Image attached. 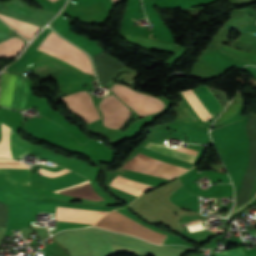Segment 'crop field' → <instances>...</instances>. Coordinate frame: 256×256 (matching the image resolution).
<instances>
[{
  "label": "crop field",
  "mask_w": 256,
  "mask_h": 256,
  "mask_svg": "<svg viewBox=\"0 0 256 256\" xmlns=\"http://www.w3.org/2000/svg\"><path fill=\"white\" fill-rule=\"evenodd\" d=\"M112 91L142 116L157 113L164 107V103L161 100L136 93L122 85H114Z\"/></svg>",
  "instance_id": "obj_4"
},
{
  "label": "crop field",
  "mask_w": 256,
  "mask_h": 256,
  "mask_svg": "<svg viewBox=\"0 0 256 256\" xmlns=\"http://www.w3.org/2000/svg\"><path fill=\"white\" fill-rule=\"evenodd\" d=\"M50 1H52V2H53V1H55V0H50Z\"/></svg>",
  "instance_id": "obj_16"
},
{
  "label": "crop field",
  "mask_w": 256,
  "mask_h": 256,
  "mask_svg": "<svg viewBox=\"0 0 256 256\" xmlns=\"http://www.w3.org/2000/svg\"><path fill=\"white\" fill-rule=\"evenodd\" d=\"M0 17L3 20H5L8 24H10L13 28H15L19 33L25 35L28 38H32L36 34V32L40 29L39 27L17 21L8 16L0 15Z\"/></svg>",
  "instance_id": "obj_12"
},
{
  "label": "crop field",
  "mask_w": 256,
  "mask_h": 256,
  "mask_svg": "<svg viewBox=\"0 0 256 256\" xmlns=\"http://www.w3.org/2000/svg\"><path fill=\"white\" fill-rule=\"evenodd\" d=\"M5 4L17 13L35 18V16L31 13V11L17 0H10Z\"/></svg>",
  "instance_id": "obj_13"
},
{
  "label": "crop field",
  "mask_w": 256,
  "mask_h": 256,
  "mask_svg": "<svg viewBox=\"0 0 256 256\" xmlns=\"http://www.w3.org/2000/svg\"><path fill=\"white\" fill-rule=\"evenodd\" d=\"M0 179L13 184L29 185L28 169H0Z\"/></svg>",
  "instance_id": "obj_9"
},
{
  "label": "crop field",
  "mask_w": 256,
  "mask_h": 256,
  "mask_svg": "<svg viewBox=\"0 0 256 256\" xmlns=\"http://www.w3.org/2000/svg\"><path fill=\"white\" fill-rule=\"evenodd\" d=\"M144 148L158 152V153H162V154H165V155H168L171 157H175V158H178V159H181L184 161H188L191 163H193L195 156L198 153L195 150H191V149H187V148H183V147L174 149L177 151L195 155V156H191L188 154L170 150L165 145L156 144V143H148ZM122 167L131 169V170H135V171H139V172H143V173H147V174H151V175L168 178V179H172V178L180 175L181 173H184V171H180V170H177L174 168H170V167L160 165V164H157L154 162H150V161H147L144 159H140L137 157L133 158L132 160H130L128 163H126Z\"/></svg>",
  "instance_id": "obj_2"
},
{
  "label": "crop field",
  "mask_w": 256,
  "mask_h": 256,
  "mask_svg": "<svg viewBox=\"0 0 256 256\" xmlns=\"http://www.w3.org/2000/svg\"><path fill=\"white\" fill-rule=\"evenodd\" d=\"M74 231L77 232L88 243L93 256L113 255L114 253L110 243L134 248L155 256H180L185 250L181 248L158 246L147 243L138 238L101 230L108 238L109 243L103 233L96 228L75 229Z\"/></svg>",
  "instance_id": "obj_1"
},
{
  "label": "crop field",
  "mask_w": 256,
  "mask_h": 256,
  "mask_svg": "<svg viewBox=\"0 0 256 256\" xmlns=\"http://www.w3.org/2000/svg\"><path fill=\"white\" fill-rule=\"evenodd\" d=\"M9 29L6 25H4L3 23L0 22V30L1 31H5L9 33Z\"/></svg>",
  "instance_id": "obj_15"
},
{
  "label": "crop field",
  "mask_w": 256,
  "mask_h": 256,
  "mask_svg": "<svg viewBox=\"0 0 256 256\" xmlns=\"http://www.w3.org/2000/svg\"><path fill=\"white\" fill-rule=\"evenodd\" d=\"M11 153L14 159L22 158L24 154L31 152L30 145L20 139L17 134L11 131L10 135Z\"/></svg>",
  "instance_id": "obj_10"
},
{
  "label": "crop field",
  "mask_w": 256,
  "mask_h": 256,
  "mask_svg": "<svg viewBox=\"0 0 256 256\" xmlns=\"http://www.w3.org/2000/svg\"><path fill=\"white\" fill-rule=\"evenodd\" d=\"M16 75L2 74L1 90H0V104L9 106L13 94V88ZM28 89L24 76L17 75L16 84L12 100V108L24 109Z\"/></svg>",
  "instance_id": "obj_5"
},
{
  "label": "crop field",
  "mask_w": 256,
  "mask_h": 256,
  "mask_svg": "<svg viewBox=\"0 0 256 256\" xmlns=\"http://www.w3.org/2000/svg\"><path fill=\"white\" fill-rule=\"evenodd\" d=\"M100 108L104 115V125L114 129H119L130 114L129 110L111 95L103 99Z\"/></svg>",
  "instance_id": "obj_6"
},
{
  "label": "crop field",
  "mask_w": 256,
  "mask_h": 256,
  "mask_svg": "<svg viewBox=\"0 0 256 256\" xmlns=\"http://www.w3.org/2000/svg\"><path fill=\"white\" fill-rule=\"evenodd\" d=\"M69 109L81 116L88 123L99 119L96 107L93 105L90 95L86 92H78L62 98Z\"/></svg>",
  "instance_id": "obj_7"
},
{
  "label": "crop field",
  "mask_w": 256,
  "mask_h": 256,
  "mask_svg": "<svg viewBox=\"0 0 256 256\" xmlns=\"http://www.w3.org/2000/svg\"><path fill=\"white\" fill-rule=\"evenodd\" d=\"M193 91L196 93V95L199 97V99L202 101V103L205 105V107L208 109L212 116L216 115L222 110L218 100L215 98V96L206 85L194 88ZM184 110L188 114V116L195 118L187 108Z\"/></svg>",
  "instance_id": "obj_8"
},
{
  "label": "crop field",
  "mask_w": 256,
  "mask_h": 256,
  "mask_svg": "<svg viewBox=\"0 0 256 256\" xmlns=\"http://www.w3.org/2000/svg\"><path fill=\"white\" fill-rule=\"evenodd\" d=\"M37 50L55 56L83 72L94 74L87 55L52 31Z\"/></svg>",
  "instance_id": "obj_3"
},
{
  "label": "crop field",
  "mask_w": 256,
  "mask_h": 256,
  "mask_svg": "<svg viewBox=\"0 0 256 256\" xmlns=\"http://www.w3.org/2000/svg\"><path fill=\"white\" fill-rule=\"evenodd\" d=\"M216 254L217 256H241V255H244V252L241 249V247H239V248L227 250V251L216 253Z\"/></svg>",
  "instance_id": "obj_14"
},
{
  "label": "crop field",
  "mask_w": 256,
  "mask_h": 256,
  "mask_svg": "<svg viewBox=\"0 0 256 256\" xmlns=\"http://www.w3.org/2000/svg\"><path fill=\"white\" fill-rule=\"evenodd\" d=\"M24 46V42L20 38H11L0 43V56L14 57Z\"/></svg>",
  "instance_id": "obj_11"
}]
</instances>
